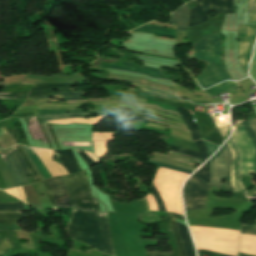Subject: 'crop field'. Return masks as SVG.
I'll list each match as a JSON object with an SVG mask.
<instances>
[{
	"label": "crop field",
	"instance_id": "obj_24",
	"mask_svg": "<svg viewBox=\"0 0 256 256\" xmlns=\"http://www.w3.org/2000/svg\"><path fill=\"white\" fill-rule=\"evenodd\" d=\"M91 113V112H90ZM99 115H107L104 111H96ZM89 113H70V114H55V115H48L49 117L44 118V116H39L45 121L59 119V118H73V117H85L88 116ZM47 116V115H45Z\"/></svg>",
	"mask_w": 256,
	"mask_h": 256
},
{
	"label": "crop field",
	"instance_id": "obj_61",
	"mask_svg": "<svg viewBox=\"0 0 256 256\" xmlns=\"http://www.w3.org/2000/svg\"><path fill=\"white\" fill-rule=\"evenodd\" d=\"M234 131H235V128H234ZM234 131H233V134H234Z\"/></svg>",
	"mask_w": 256,
	"mask_h": 256
},
{
	"label": "crop field",
	"instance_id": "obj_56",
	"mask_svg": "<svg viewBox=\"0 0 256 256\" xmlns=\"http://www.w3.org/2000/svg\"><path fill=\"white\" fill-rule=\"evenodd\" d=\"M24 210H30L29 207L25 204H23Z\"/></svg>",
	"mask_w": 256,
	"mask_h": 256
},
{
	"label": "crop field",
	"instance_id": "obj_10",
	"mask_svg": "<svg viewBox=\"0 0 256 256\" xmlns=\"http://www.w3.org/2000/svg\"><path fill=\"white\" fill-rule=\"evenodd\" d=\"M33 150L39 156V158L41 159L47 170L50 172L52 177L68 174V172L63 166L57 164L56 161L53 162L51 160L52 155L54 153L53 150L44 148H33Z\"/></svg>",
	"mask_w": 256,
	"mask_h": 256
},
{
	"label": "crop field",
	"instance_id": "obj_57",
	"mask_svg": "<svg viewBox=\"0 0 256 256\" xmlns=\"http://www.w3.org/2000/svg\"><path fill=\"white\" fill-rule=\"evenodd\" d=\"M238 256H251V255H246V254L239 253Z\"/></svg>",
	"mask_w": 256,
	"mask_h": 256
},
{
	"label": "crop field",
	"instance_id": "obj_28",
	"mask_svg": "<svg viewBox=\"0 0 256 256\" xmlns=\"http://www.w3.org/2000/svg\"><path fill=\"white\" fill-rule=\"evenodd\" d=\"M252 115L254 118L249 120V122L256 133V117H255L254 113H252ZM249 122L248 121L243 122V125L245 126L246 130L248 131L250 137L253 139L255 146H256V134L254 133L253 129L251 128Z\"/></svg>",
	"mask_w": 256,
	"mask_h": 256
},
{
	"label": "crop field",
	"instance_id": "obj_26",
	"mask_svg": "<svg viewBox=\"0 0 256 256\" xmlns=\"http://www.w3.org/2000/svg\"><path fill=\"white\" fill-rule=\"evenodd\" d=\"M134 85V84H132ZM138 86L139 88H142V89H145V90H148V91H144V90H140V89H137V90H131V91H135V92H143V93H147V94H151V95H155V96H158L160 98H163L165 99V95H162V94H167V95H171V96H175V94H172V93H168V92H165V91H162V90H158V89H153V88H148V87H144V86H141V85H136ZM128 91V90H127ZM162 93V94H158V93Z\"/></svg>",
	"mask_w": 256,
	"mask_h": 256
},
{
	"label": "crop field",
	"instance_id": "obj_16",
	"mask_svg": "<svg viewBox=\"0 0 256 256\" xmlns=\"http://www.w3.org/2000/svg\"><path fill=\"white\" fill-rule=\"evenodd\" d=\"M188 21V5L182 6L170 15V23L178 24L179 30H186Z\"/></svg>",
	"mask_w": 256,
	"mask_h": 256
},
{
	"label": "crop field",
	"instance_id": "obj_5",
	"mask_svg": "<svg viewBox=\"0 0 256 256\" xmlns=\"http://www.w3.org/2000/svg\"><path fill=\"white\" fill-rule=\"evenodd\" d=\"M241 152L240 174L250 176V172H256V150L243 125L236 126L233 135Z\"/></svg>",
	"mask_w": 256,
	"mask_h": 256
},
{
	"label": "crop field",
	"instance_id": "obj_35",
	"mask_svg": "<svg viewBox=\"0 0 256 256\" xmlns=\"http://www.w3.org/2000/svg\"><path fill=\"white\" fill-rule=\"evenodd\" d=\"M170 216L175 217V218H178V219H182V220H185V218H184L183 216H181V215L172 214V213H168V212H167V220H168L169 227H170V234H171V237H172L173 242H174V246H175V249H176V252H177V256H181V255H180V251H179V249H178V247H177L176 241H175L174 236H173V231H172V225H171Z\"/></svg>",
	"mask_w": 256,
	"mask_h": 256
},
{
	"label": "crop field",
	"instance_id": "obj_13",
	"mask_svg": "<svg viewBox=\"0 0 256 256\" xmlns=\"http://www.w3.org/2000/svg\"><path fill=\"white\" fill-rule=\"evenodd\" d=\"M103 66H104V68H113V69L134 71V72L150 75L152 77H158V78L166 79L165 77H163L160 74L159 70L153 69V68H149V67H141V66H138V65L127 64V63H123L122 66L108 65V64H103Z\"/></svg>",
	"mask_w": 256,
	"mask_h": 256
},
{
	"label": "crop field",
	"instance_id": "obj_58",
	"mask_svg": "<svg viewBox=\"0 0 256 256\" xmlns=\"http://www.w3.org/2000/svg\"><path fill=\"white\" fill-rule=\"evenodd\" d=\"M4 132L5 131L2 128H0V135L3 134Z\"/></svg>",
	"mask_w": 256,
	"mask_h": 256
},
{
	"label": "crop field",
	"instance_id": "obj_37",
	"mask_svg": "<svg viewBox=\"0 0 256 256\" xmlns=\"http://www.w3.org/2000/svg\"><path fill=\"white\" fill-rule=\"evenodd\" d=\"M72 84H52V85H37L32 88V91L48 88H71Z\"/></svg>",
	"mask_w": 256,
	"mask_h": 256
},
{
	"label": "crop field",
	"instance_id": "obj_62",
	"mask_svg": "<svg viewBox=\"0 0 256 256\" xmlns=\"http://www.w3.org/2000/svg\"><path fill=\"white\" fill-rule=\"evenodd\" d=\"M103 256H107V255H104V254H103Z\"/></svg>",
	"mask_w": 256,
	"mask_h": 256
},
{
	"label": "crop field",
	"instance_id": "obj_30",
	"mask_svg": "<svg viewBox=\"0 0 256 256\" xmlns=\"http://www.w3.org/2000/svg\"><path fill=\"white\" fill-rule=\"evenodd\" d=\"M10 150V152L12 153V155L15 157V159L17 160V162L19 163L22 171L24 172L25 175L27 174H31L30 170L28 169V167L26 166V164L24 163V161L22 160V158L20 157L19 153L17 152V150L12 146L10 148H8Z\"/></svg>",
	"mask_w": 256,
	"mask_h": 256
},
{
	"label": "crop field",
	"instance_id": "obj_52",
	"mask_svg": "<svg viewBox=\"0 0 256 256\" xmlns=\"http://www.w3.org/2000/svg\"><path fill=\"white\" fill-rule=\"evenodd\" d=\"M90 158H92L96 163L97 162H99L100 161V157H98V156H96V155H94V154H92V153H90V152H86V151H84Z\"/></svg>",
	"mask_w": 256,
	"mask_h": 256
},
{
	"label": "crop field",
	"instance_id": "obj_27",
	"mask_svg": "<svg viewBox=\"0 0 256 256\" xmlns=\"http://www.w3.org/2000/svg\"><path fill=\"white\" fill-rule=\"evenodd\" d=\"M0 211H16L22 212V202L18 203H0Z\"/></svg>",
	"mask_w": 256,
	"mask_h": 256
},
{
	"label": "crop field",
	"instance_id": "obj_11",
	"mask_svg": "<svg viewBox=\"0 0 256 256\" xmlns=\"http://www.w3.org/2000/svg\"><path fill=\"white\" fill-rule=\"evenodd\" d=\"M233 154V162L231 168V183L232 187L234 188V192H244L241 183L239 182V161H240V154L237 148L236 143L234 142L233 138L231 137L226 142Z\"/></svg>",
	"mask_w": 256,
	"mask_h": 256
},
{
	"label": "crop field",
	"instance_id": "obj_19",
	"mask_svg": "<svg viewBox=\"0 0 256 256\" xmlns=\"http://www.w3.org/2000/svg\"><path fill=\"white\" fill-rule=\"evenodd\" d=\"M52 89L45 91L26 92V93H0V98H25L41 95H49ZM60 92H73L71 89H58Z\"/></svg>",
	"mask_w": 256,
	"mask_h": 256
},
{
	"label": "crop field",
	"instance_id": "obj_59",
	"mask_svg": "<svg viewBox=\"0 0 256 256\" xmlns=\"http://www.w3.org/2000/svg\"><path fill=\"white\" fill-rule=\"evenodd\" d=\"M0 86H5V83H4V82H1V83H0Z\"/></svg>",
	"mask_w": 256,
	"mask_h": 256
},
{
	"label": "crop field",
	"instance_id": "obj_54",
	"mask_svg": "<svg viewBox=\"0 0 256 256\" xmlns=\"http://www.w3.org/2000/svg\"><path fill=\"white\" fill-rule=\"evenodd\" d=\"M0 229H20V227H0Z\"/></svg>",
	"mask_w": 256,
	"mask_h": 256
},
{
	"label": "crop field",
	"instance_id": "obj_31",
	"mask_svg": "<svg viewBox=\"0 0 256 256\" xmlns=\"http://www.w3.org/2000/svg\"><path fill=\"white\" fill-rule=\"evenodd\" d=\"M106 142H111V141L94 142L95 154L102 158L105 157L107 154Z\"/></svg>",
	"mask_w": 256,
	"mask_h": 256
},
{
	"label": "crop field",
	"instance_id": "obj_40",
	"mask_svg": "<svg viewBox=\"0 0 256 256\" xmlns=\"http://www.w3.org/2000/svg\"><path fill=\"white\" fill-rule=\"evenodd\" d=\"M110 95H117V94H126V95H132L136 97H141V98H150L153 99V96H148V95H142V94H137V93H130V92H122V91H111L107 90Z\"/></svg>",
	"mask_w": 256,
	"mask_h": 256
},
{
	"label": "crop field",
	"instance_id": "obj_32",
	"mask_svg": "<svg viewBox=\"0 0 256 256\" xmlns=\"http://www.w3.org/2000/svg\"><path fill=\"white\" fill-rule=\"evenodd\" d=\"M194 175L200 177L201 179L209 182L210 176H209V161L202 166Z\"/></svg>",
	"mask_w": 256,
	"mask_h": 256
},
{
	"label": "crop field",
	"instance_id": "obj_50",
	"mask_svg": "<svg viewBox=\"0 0 256 256\" xmlns=\"http://www.w3.org/2000/svg\"><path fill=\"white\" fill-rule=\"evenodd\" d=\"M148 256H172V253H153L147 252Z\"/></svg>",
	"mask_w": 256,
	"mask_h": 256
},
{
	"label": "crop field",
	"instance_id": "obj_29",
	"mask_svg": "<svg viewBox=\"0 0 256 256\" xmlns=\"http://www.w3.org/2000/svg\"><path fill=\"white\" fill-rule=\"evenodd\" d=\"M59 94H61L63 98L66 100H75V99H81L80 96L87 95L88 93H83V91L76 92V93H58L50 96L34 97L33 99L47 98V97H51Z\"/></svg>",
	"mask_w": 256,
	"mask_h": 256
},
{
	"label": "crop field",
	"instance_id": "obj_15",
	"mask_svg": "<svg viewBox=\"0 0 256 256\" xmlns=\"http://www.w3.org/2000/svg\"><path fill=\"white\" fill-rule=\"evenodd\" d=\"M195 143L198 147L199 152L181 149V148L171 146V145H168V144L167 145H168L169 149L174 151V152L195 156L197 158H202L201 163H203L205 160H207L209 158L208 152H207V150H206V148H205V146H204V144L201 140L196 141Z\"/></svg>",
	"mask_w": 256,
	"mask_h": 256
},
{
	"label": "crop field",
	"instance_id": "obj_47",
	"mask_svg": "<svg viewBox=\"0 0 256 256\" xmlns=\"http://www.w3.org/2000/svg\"><path fill=\"white\" fill-rule=\"evenodd\" d=\"M203 142L205 143V145L209 151V156H211L218 148L217 146H215L209 142H205V141H203Z\"/></svg>",
	"mask_w": 256,
	"mask_h": 256
},
{
	"label": "crop field",
	"instance_id": "obj_17",
	"mask_svg": "<svg viewBox=\"0 0 256 256\" xmlns=\"http://www.w3.org/2000/svg\"><path fill=\"white\" fill-rule=\"evenodd\" d=\"M134 32L155 33L158 35L172 36V37L176 38V30H174V29L151 26V25H147V24L134 30Z\"/></svg>",
	"mask_w": 256,
	"mask_h": 256
},
{
	"label": "crop field",
	"instance_id": "obj_9",
	"mask_svg": "<svg viewBox=\"0 0 256 256\" xmlns=\"http://www.w3.org/2000/svg\"><path fill=\"white\" fill-rule=\"evenodd\" d=\"M47 181L52 191V195L55 200L56 207L58 206L72 207L70 203L69 195L66 191L62 178L55 177V178L48 179Z\"/></svg>",
	"mask_w": 256,
	"mask_h": 256
},
{
	"label": "crop field",
	"instance_id": "obj_1",
	"mask_svg": "<svg viewBox=\"0 0 256 256\" xmlns=\"http://www.w3.org/2000/svg\"><path fill=\"white\" fill-rule=\"evenodd\" d=\"M68 234L76 240L115 256L106 213L75 209L68 226Z\"/></svg>",
	"mask_w": 256,
	"mask_h": 256
},
{
	"label": "crop field",
	"instance_id": "obj_34",
	"mask_svg": "<svg viewBox=\"0 0 256 256\" xmlns=\"http://www.w3.org/2000/svg\"><path fill=\"white\" fill-rule=\"evenodd\" d=\"M248 23L256 24V0H249V21Z\"/></svg>",
	"mask_w": 256,
	"mask_h": 256
},
{
	"label": "crop field",
	"instance_id": "obj_48",
	"mask_svg": "<svg viewBox=\"0 0 256 256\" xmlns=\"http://www.w3.org/2000/svg\"><path fill=\"white\" fill-rule=\"evenodd\" d=\"M3 191H5V192H7V193H9V194H11V195H13V196H15V197H17L18 199L21 200L18 188H12V189L3 190Z\"/></svg>",
	"mask_w": 256,
	"mask_h": 256
},
{
	"label": "crop field",
	"instance_id": "obj_23",
	"mask_svg": "<svg viewBox=\"0 0 256 256\" xmlns=\"http://www.w3.org/2000/svg\"><path fill=\"white\" fill-rule=\"evenodd\" d=\"M104 117L106 116H97L96 118H89V120H86L84 118H74V119L55 120V121H49V122L59 123V124H66V123L98 124L99 121Z\"/></svg>",
	"mask_w": 256,
	"mask_h": 256
},
{
	"label": "crop field",
	"instance_id": "obj_14",
	"mask_svg": "<svg viewBox=\"0 0 256 256\" xmlns=\"http://www.w3.org/2000/svg\"><path fill=\"white\" fill-rule=\"evenodd\" d=\"M58 160L67 169L69 174L80 171L77 167L74 155L71 150L55 151Z\"/></svg>",
	"mask_w": 256,
	"mask_h": 256
},
{
	"label": "crop field",
	"instance_id": "obj_12",
	"mask_svg": "<svg viewBox=\"0 0 256 256\" xmlns=\"http://www.w3.org/2000/svg\"><path fill=\"white\" fill-rule=\"evenodd\" d=\"M0 156L8 167L10 175L12 177L15 186L28 185L26 178L24 177L18 163L9 152L7 155L2 149H0ZM30 184V183H29Z\"/></svg>",
	"mask_w": 256,
	"mask_h": 256
},
{
	"label": "crop field",
	"instance_id": "obj_60",
	"mask_svg": "<svg viewBox=\"0 0 256 256\" xmlns=\"http://www.w3.org/2000/svg\"><path fill=\"white\" fill-rule=\"evenodd\" d=\"M198 251H205V250H198ZM217 254V253H216ZM221 255H224V254H221ZM225 256H229V255H225Z\"/></svg>",
	"mask_w": 256,
	"mask_h": 256
},
{
	"label": "crop field",
	"instance_id": "obj_43",
	"mask_svg": "<svg viewBox=\"0 0 256 256\" xmlns=\"http://www.w3.org/2000/svg\"><path fill=\"white\" fill-rule=\"evenodd\" d=\"M148 164L159 165V166H163V167H166V168H170V169H174V170H178V171H182V172H186V173H190V174L192 173L191 171L184 170V169H181V168H178V167L165 165V164H160V163H155V162H151V161H149Z\"/></svg>",
	"mask_w": 256,
	"mask_h": 256
},
{
	"label": "crop field",
	"instance_id": "obj_6",
	"mask_svg": "<svg viewBox=\"0 0 256 256\" xmlns=\"http://www.w3.org/2000/svg\"><path fill=\"white\" fill-rule=\"evenodd\" d=\"M210 187L207 182L195 176L190 177L183 189L186 210L204 209Z\"/></svg>",
	"mask_w": 256,
	"mask_h": 256
},
{
	"label": "crop field",
	"instance_id": "obj_3",
	"mask_svg": "<svg viewBox=\"0 0 256 256\" xmlns=\"http://www.w3.org/2000/svg\"><path fill=\"white\" fill-rule=\"evenodd\" d=\"M85 171L63 177L73 208L99 211L98 202L92 198Z\"/></svg>",
	"mask_w": 256,
	"mask_h": 256
},
{
	"label": "crop field",
	"instance_id": "obj_46",
	"mask_svg": "<svg viewBox=\"0 0 256 256\" xmlns=\"http://www.w3.org/2000/svg\"><path fill=\"white\" fill-rule=\"evenodd\" d=\"M108 100H111V97H108V98H106L104 100H102V98H99V99H91L89 101H108ZM86 101L87 100H75V101H66L64 103L65 104H73V103H82V102H86ZM60 104H62V103L60 102Z\"/></svg>",
	"mask_w": 256,
	"mask_h": 256
},
{
	"label": "crop field",
	"instance_id": "obj_7",
	"mask_svg": "<svg viewBox=\"0 0 256 256\" xmlns=\"http://www.w3.org/2000/svg\"><path fill=\"white\" fill-rule=\"evenodd\" d=\"M198 2L203 5L199 6ZM196 7L190 8L189 26L208 20L207 11H219L222 13H233L232 0H195Z\"/></svg>",
	"mask_w": 256,
	"mask_h": 256
},
{
	"label": "crop field",
	"instance_id": "obj_42",
	"mask_svg": "<svg viewBox=\"0 0 256 256\" xmlns=\"http://www.w3.org/2000/svg\"><path fill=\"white\" fill-rule=\"evenodd\" d=\"M172 225H173V229H174V233H175V236H176L178 247H179V249L181 251L182 256H185L183 248H182L181 241L179 239V235H178V231H177V225L175 223V219L174 218H172Z\"/></svg>",
	"mask_w": 256,
	"mask_h": 256
},
{
	"label": "crop field",
	"instance_id": "obj_4",
	"mask_svg": "<svg viewBox=\"0 0 256 256\" xmlns=\"http://www.w3.org/2000/svg\"><path fill=\"white\" fill-rule=\"evenodd\" d=\"M232 155L226 143L210 159L211 181L210 184L223 190L233 191L230 185V164ZM228 179V183L220 185V179Z\"/></svg>",
	"mask_w": 256,
	"mask_h": 256
},
{
	"label": "crop field",
	"instance_id": "obj_33",
	"mask_svg": "<svg viewBox=\"0 0 256 256\" xmlns=\"http://www.w3.org/2000/svg\"><path fill=\"white\" fill-rule=\"evenodd\" d=\"M81 111L79 109H68V110H62V109H41L37 110L35 115H44V114H54V113H61V112H78Z\"/></svg>",
	"mask_w": 256,
	"mask_h": 256
},
{
	"label": "crop field",
	"instance_id": "obj_21",
	"mask_svg": "<svg viewBox=\"0 0 256 256\" xmlns=\"http://www.w3.org/2000/svg\"><path fill=\"white\" fill-rule=\"evenodd\" d=\"M177 110L179 111V113L182 115L191 135L193 138V141L200 139V134L198 132V129L196 127V125L194 124V122L192 121V119L190 118V116L187 114V112L185 111V109L183 107H179L177 108Z\"/></svg>",
	"mask_w": 256,
	"mask_h": 256
},
{
	"label": "crop field",
	"instance_id": "obj_51",
	"mask_svg": "<svg viewBox=\"0 0 256 256\" xmlns=\"http://www.w3.org/2000/svg\"><path fill=\"white\" fill-rule=\"evenodd\" d=\"M63 145H89V142H63Z\"/></svg>",
	"mask_w": 256,
	"mask_h": 256
},
{
	"label": "crop field",
	"instance_id": "obj_38",
	"mask_svg": "<svg viewBox=\"0 0 256 256\" xmlns=\"http://www.w3.org/2000/svg\"><path fill=\"white\" fill-rule=\"evenodd\" d=\"M14 244V242H12L9 239H3L0 242V256H3V254Z\"/></svg>",
	"mask_w": 256,
	"mask_h": 256
},
{
	"label": "crop field",
	"instance_id": "obj_39",
	"mask_svg": "<svg viewBox=\"0 0 256 256\" xmlns=\"http://www.w3.org/2000/svg\"><path fill=\"white\" fill-rule=\"evenodd\" d=\"M151 191H152V194L154 195V197L156 199L159 211H166L165 207H164V204H163V201L160 198L158 192L156 191V189L153 185H152Z\"/></svg>",
	"mask_w": 256,
	"mask_h": 256
},
{
	"label": "crop field",
	"instance_id": "obj_44",
	"mask_svg": "<svg viewBox=\"0 0 256 256\" xmlns=\"http://www.w3.org/2000/svg\"><path fill=\"white\" fill-rule=\"evenodd\" d=\"M17 148V150L19 151V153L21 154V156L23 157L24 161L26 162V164L28 165V167L30 168L33 176L35 177V179L37 180V182L41 181L39 179V177L35 174L34 170L32 169L31 165L29 164L28 160L26 159V157L24 156V154L21 152V150L19 149L18 145L15 146Z\"/></svg>",
	"mask_w": 256,
	"mask_h": 256
},
{
	"label": "crop field",
	"instance_id": "obj_20",
	"mask_svg": "<svg viewBox=\"0 0 256 256\" xmlns=\"http://www.w3.org/2000/svg\"><path fill=\"white\" fill-rule=\"evenodd\" d=\"M238 89L237 85L235 82L233 81H225L217 86L211 87L207 90H205V92L210 96V97H214L222 92L225 91H232Z\"/></svg>",
	"mask_w": 256,
	"mask_h": 256
},
{
	"label": "crop field",
	"instance_id": "obj_22",
	"mask_svg": "<svg viewBox=\"0 0 256 256\" xmlns=\"http://www.w3.org/2000/svg\"><path fill=\"white\" fill-rule=\"evenodd\" d=\"M23 148L26 150V152L29 154V156L31 157V159L34 161L37 169L40 171V173L44 176L45 179L50 178L49 173L47 172V170L45 169L44 165L42 164V162L40 161V159L38 158V156L35 154V152L32 150L31 147H26L23 146Z\"/></svg>",
	"mask_w": 256,
	"mask_h": 256
},
{
	"label": "crop field",
	"instance_id": "obj_49",
	"mask_svg": "<svg viewBox=\"0 0 256 256\" xmlns=\"http://www.w3.org/2000/svg\"><path fill=\"white\" fill-rule=\"evenodd\" d=\"M44 186H45L46 193H47V195H48V197H49V199H50V203H51L53 209L56 210V207H55V205H54L53 198H52V196H51V194H50V192H49V189H48V185H47V181H46V180L44 181Z\"/></svg>",
	"mask_w": 256,
	"mask_h": 256
},
{
	"label": "crop field",
	"instance_id": "obj_36",
	"mask_svg": "<svg viewBox=\"0 0 256 256\" xmlns=\"http://www.w3.org/2000/svg\"><path fill=\"white\" fill-rule=\"evenodd\" d=\"M114 132L93 133L92 141L113 140Z\"/></svg>",
	"mask_w": 256,
	"mask_h": 256
},
{
	"label": "crop field",
	"instance_id": "obj_8",
	"mask_svg": "<svg viewBox=\"0 0 256 256\" xmlns=\"http://www.w3.org/2000/svg\"><path fill=\"white\" fill-rule=\"evenodd\" d=\"M256 38V26L240 24L238 40L242 68L247 72V65Z\"/></svg>",
	"mask_w": 256,
	"mask_h": 256
},
{
	"label": "crop field",
	"instance_id": "obj_2",
	"mask_svg": "<svg viewBox=\"0 0 256 256\" xmlns=\"http://www.w3.org/2000/svg\"><path fill=\"white\" fill-rule=\"evenodd\" d=\"M193 46L195 50L194 57L208 63L202 74L196 77L203 89L220 81L232 79L223 68L219 33L204 37L195 42Z\"/></svg>",
	"mask_w": 256,
	"mask_h": 256
},
{
	"label": "crop field",
	"instance_id": "obj_18",
	"mask_svg": "<svg viewBox=\"0 0 256 256\" xmlns=\"http://www.w3.org/2000/svg\"><path fill=\"white\" fill-rule=\"evenodd\" d=\"M179 235L183 244L186 256H194L191 240L189 237L187 226L177 222Z\"/></svg>",
	"mask_w": 256,
	"mask_h": 256
},
{
	"label": "crop field",
	"instance_id": "obj_53",
	"mask_svg": "<svg viewBox=\"0 0 256 256\" xmlns=\"http://www.w3.org/2000/svg\"><path fill=\"white\" fill-rule=\"evenodd\" d=\"M18 188H19V191H20V194H21V197H22L23 202L26 203V201H25V195H24V193H23L22 188H21V187H18Z\"/></svg>",
	"mask_w": 256,
	"mask_h": 256
},
{
	"label": "crop field",
	"instance_id": "obj_41",
	"mask_svg": "<svg viewBox=\"0 0 256 256\" xmlns=\"http://www.w3.org/2000/svg\"><path fill=\"white\" fill-rule=\"evenodd\" d=\"M241 233L256 234V224H253V225L242 224Z\"/></svg>",
	"mask_w": 256,
	"mask_h": 256
},
{
	"label": "crop field",
	"instance_id": "obj_45",
	"mask_svg": "<svg viewBox=\"0 0 256 256\" xmlns=\"http://www.w3.org/2000/svg\"><path fill=\"white\" fill-rule=\"evenodd\" d=\"M78 154L82 157V159L86 162L88 167L96 164L93 160H91L87 155L84 154L83 151L77 150Z\"/></svg>",
	"mask_w": 256,
	"mask_h": 256
},
{
	"label": "crop field",
	"instance_id": "obj_25",
	"mask_svg": "<svg viewBox=\"0 0 256 256\" xmlns=\"http://www.w3.org/2000/svg\"><path fill=\"white\" fill-rule=\"evenodd\" d=\"M20 217V213L0 212V223H18Z\"/></svg>",
	"mask_w": 256,
	"mask_h": 256
},
{
	"label": "crop field",
	"instance_id": "obj_55",
	"mask_svg": "<svg viewBox=\"0 0 256 256\" xmlns=\"http://www.w3.org/2000/svg\"><path fill=\"white\" fill-rule=\"evenodd\" d=\"M199 254H204V255H208V256H218V255H213V254H208V253H203V252H198Z\"/></svg>",
	"mask_w": 256,
	"mask_h": 256
}]
</instances>
